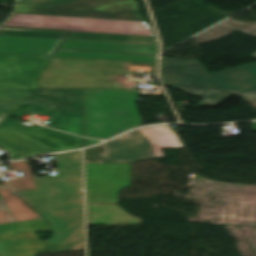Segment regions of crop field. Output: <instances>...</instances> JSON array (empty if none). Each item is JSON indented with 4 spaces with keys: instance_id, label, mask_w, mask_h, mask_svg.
Here are the masks:
<instances>
[{
    "instance_id": "crop-field-1",
    "label": "crop field",
    "mask_w": 256,
    "mask_h": 256,
    "mask_svg": "<svg viewBox=\"0 0 256 256\" xmlns=\"http://www.w3.org/2000/svg\"><path fill=\"white\" fill-rule=\"evenodd\" d=\"M56 156V177L36 178L37 190L18 192L50 226L49 252L85 250L82 151Z\"/></svg>"
},
{
    "instance_id": "crop-field-2",
    "label": "crop field",
    "mask_w": 256,
    "mask_h": 256,
    "mask_svg": "<svg viewBox=\"0 0 256 256\" xmlns=\"http://www.w3.org/2000/svg\"><path fill=\"white\" fill-rule=\"evenodd\" d=\"M197 61L162 58L161 78L165 86L202 97L199 105L212 108L234 94L256 97V63L207 75Z\"/></svg>"
},
{
    "instance_id": "crop-field-3",
    "label": "crop field",
    "mask_w": 256,
    "mask_h": 256,
    "mask_svg": "<svg viewBox=\"0 0 256 256\" xmlns=\"http://www.w3.org/2000/svg\"><path fill=\"white\" fill-rule=\"evenodd\" d=\"M138 89H84L85 134L107 139L141 126Z\"/></svg>"
},
{
    "instance_id": "crop-field-4",
    "label": "crop field",
    "mask_w": 256,
    "mask_h": 256,
    "mask_svg": "<svg viewBox=\"0 0 256 256\" xmlns=\"http://www.w3.org/2000/svg\"><path fill=\"white\" fill-rule=\"evenodd\" d=\"M50 230L43 218L8 185L0 186V256H36L48 252L34 231Z\"/></svg>"
},
{
    "instance_id": "crop-field-5",
    "label": "crop field",
    "mask_w": 256,
    "mask_h": 256,
    "mask_svg": "<svg viewBox=\"0 0 256 256\" xmlns=\"http://www.w3.org/2000/svg\"><path fill=\"white\" fill-rule=\"evenodd\" d=\"M161 148H183L168 126L143 128L105 144L104 163H134L165 157Z\"/></svg>"
},
{
    "instance_id": "crop-field-6",
    "label": "crop field",
    "mask_w": 256,
    "mask_h": 256,
    "mask_svg": "<svg viewBox=\"0 0 256 256\" xmlns=\"http://www.w3.org/2000/svg\"><path fill=\"white\" fill-rule=\"evenodd\" d=\"M2 25L153 35L146 22L56 17L14 13Z\"/></svg>"
},
{
    "instance_id": "crop-field-7",
    "label": "crop field",
    "mask_w": 256,
    "mask_h": 256,
    "mask_svg": "<svg viewBox=\"0 0 256 256\" xmlns=\"http://www.w3.org/2000/svg\"><path fill=\"white\" fill-rule=\"evenodd\" d=\"M15 12L144 21L134 0H81L49 8L17 3Z\"/></svg>"
},
{
    "instance_id": "crop-field-8",
    "label": "crop field",
    "mask_w": 256,
    "mask_h": 256,
    "mask_svg": "<svg viewBox=\"0 0 256 256\" xmlns=\"http://www.w3.org/2000/svg\"><path fill=\"white\" fill-rule=\"evenodd\" d=\"M36 89H0V123ZM26 102L82 114V90L38 89Z\"/></svg>"
},
{
    "instance_id": "crop-field-9",
    "label": "crop field",
    "mask_w": 256,
    "mask_h": 256,
    "mask_svg": "<svg viewBox=\"0 0 256 256\" xmlns=\"http://www.w3.org/2000/svg\"><path fill=\"white\" fill-rule=\"evenodd\" d=\"M127 187L130 164H87L88 203H118V194Z\"/></svg>"
},
{
    "instance_id": "crop-field-10",
    "label": "crop field",
    "mask_w": 256,
    "mask_h": 256,
    "mask_svg": "<svg viewBox=\"0 0 256 256\" xmlns=\"http://www.w3.org/2000/svg\"><path fill=\"white\" fill-rule=\"evenodd\" d=\"M50 57L0 54V88H36Z\"/></svg>"
},
{
    "instance_id": "crop-field-11",
    "label": "crop field",
    "mask_w": 256,
    "mask_h": 256,
    "mask_svg": "<svg viewBox=\"0 0 256 256\" xmlns=\"http://www.w3.org/2000/svg\"><path fill=\"white\" fill-rule=\"evenodd\" d=\"M0 128L22 131L25 134L46 143L56 151L84 147V140L82 137L62 133L41 126H24L21 125L19 121L9 117L4 120V122L0 125Z\"/></svg>"
},
{
    "instance_id": "crop-field-12",
    "label": "crop field",
    "mask_w": 256,
    "mask_h": 256,
    "mask_svg": "<svg viewBox=\"0 0 256 256\" xmlns=\"http://www.w3.org/2000/svg\"><path fill=\"white\" fill-rule=\"evenodd\" d=\"M26 111L51 116L53 118L49 125L50 127L83 136V116L82 115L22 102L10 114V116L20 118Z\"/></svg>"
},
{
    "instance_id": "crop-field-13",
    "label": "crop field",
    "mask_w": 256,
    "mask_h": 256,
    "mask_svg": "<svg viewBox=\"0 0 256 256\" xmlns=\"http://www.w3.org/2000/svg\"><path fill=\"white\" fill-rule=\"evenodd\" d=\"M61 41L0 35V53L52 56Z\"/></svg>"
},
{
    "instance_id": "crop-field-14",
    "label": "crop field",
    "mask_w": 256,
    "mask_h": 256,
    "mask_svg": "<svg viewBox=\"0 0 256 256\" xmlns=\"http://www.w3.org/2000/svg\"><path fill=\"white\" fill-rule=\"evenodd\" d=\"M0 146L10 151L13 159L54 151L46 144L16 130L0 129Z\"/></svg>"
},
{
    "instance_id": "crop-field-15",
    "label": "crop field",
    "mask_w": 256,
    "mask_h": 256,
    "mask_svg": "<svg viewBox=\"0 0 256 256\" xmlns=\"http://www.w3.org/2000/svg\"><path fill=\"white\" fill-rule=\"evenodd\" d=\"M141 220L117 204H88V225H140Z\"/></svg>"
},
{
    "instance_id": "crop-field-16",
    "label": "crop field",
    "mask_w": 256,
    "mask_h": 256,
    "mask_svg": "<svg viewBox=\"0 0 256 256\" xmlns=\"http://www.w3.org/2000/svg\"><path fill=\"white\" fill-rule=\"evenodd\" d=\"M59 49L134 52L152 55L158 54V46L96 41L65 40Z\"/></svg>"
},
{
    "instance_id": "crop-field-17",
    "label": "crop field",
    "mask_w": 256,
    "mask_h": 256,
    "mask_svg": "<svg viewBox=\"0 0 256 256\" xmlns=\"http://www.w3.org/2000/svg\"><path fill=\"white\" fill-rule=\"evenodd\" d=\"M54 57L86 58V59H102V60H115V61H126V62L157 63V56L135 55V54L57 51V53L54 55Z\"/></svg>"
},
{
    "instance_id": "crop-field-18",
    "label": "crop field",
    "mask_w": 256,
    "mask_h": 256,
    "mask_svg": "<svg viewBox=\"0 0 256 256\" xmlns=\"http://www.w3.org/2000/svg\"><path fill=\"white\" fill-rule=\"evenodd\" d=\"M66 38L156 43L154 36L69 31Z\"/></svg>"
},
{
    "instance_id": "crop-field-19",
    "label": "crop field",
    "mask_w": 256,
    "mask_h": 256,
    "mask_svg": "<svg viewBox=\"0 0 256 256\" xmlns=\"http://www.w3.org/2000/svg\"><path fill=\"white\" fill-rule=\"evenodd\" d=\"M0 34L15 35V36L44 37V38H64L66 32L47 31V30H22V29H10V28L0 27Z\"/></svg>"
},
{
    "instance_id": "crop-field-20",
    "label": "crop field",
    "mask_w": 256,
    "mask_h": 256,
    "mask_svg": "<svg viewBox=\"0 0 256 256\" xmlns=\"http://www.w3.org/2000/svg\"><path fill=\"white\" fill-rule=\"evenodd\" d=\"M10 168L21 170L24 173L25 179H19V180L9 182L10 184H12L15 187L16 190L34 189L35 188L34 180L32 178V174H31L29 165H27L24 162L13 163V164H10Z\"/></svg>"
},
{
    "instance_id": "crop-field-21",
    "label": "crop field",
    "mask_w": 256,
    "mask_h": 256,
    "mask_svg": "<svg viewBox=\"0 0 256 256\" xmlns=\"http://www.w3.org/2000/svg\"><path fill=\"white\" fill-rule=\"evenodd\" d=\"M131 65L152 67L151 72H153V68H154V64H151V63H132ZM134 72H140V71H129V74ZM134 84H137V83L136 82H102L100 88H136L137 85L133 86Z\"/></svg>"
},
{
    "instance_id": "crop-field-22",
    "label": "crop field",
    "mask_w": 256,
    "mask_h": 256,
    "mask_svg": "<svg viewBox=\"0 0 256 256\" xmlns=\"http://www.w3.org/2000/svg\"><path fill=\"white\" fill-rule=\"evenodd\" d=\"M104 144L86 150V162L87 163H103Z\"/></svg>"
},
{
    "instance_id": "crop-field-23",
    "label": "crop field",
    "mask_w": 256,
    "mask_h": 256,
    "mask_svg": "<svg viewBox=\"0 0 256 256\" xmlns=\"http://www.w3.org/2000/svg\"><path fill=\"white\" fill-rule=\"evenodd\" d=\"M77 0H18L20 3H26V4H32V5H38V6H44L49 7L53 5L63 4L67 2H72Z\"/></svg>"
},
{
    "instance_id": "crop-field-24",
    "label": "crop field",
    "mask_w": 256,
    "mask_h": 256,
    "mask_svg": "<svg viewBox=\"0 0 256 256\" xmlns=\"http://www.w3.org/2000/svg\"><path fill=\"white\" fill-rule=\"evenodd\" d=\"M97 142H100V141L86 139V147L90 146V145H92L94 143H97Z\"/></svg>"
},
{
    "instance_id": "crop-field-25",
    "label": "crop field",
    "mask_w": 256,
    "mask_h": 256,
    "mask_svg": "<svg viewBox=\"0 0 256 256\" xmlns=\"http://www.w3.org/2000/svg\"><path fill=\"white\" fill-rule=\"evenodd\" d=\"M251 56H254V57H256V53L252 54Z\"/></svg>"
}]
</instances>
